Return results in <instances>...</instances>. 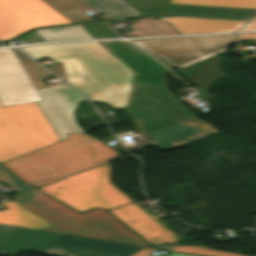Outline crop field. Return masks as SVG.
Returning <instances> with one entry per match:
<instances>
[{
	"label": "crop field",
	"mask_w": 256,
	"mask_h": 256,
	"mask_svg": "<svg viewBox=\"0 0 256 256\" xmlns=\"http://www.w3.org/2000/svg\"><path fill=\"white\" fill-rule=\"evenodd\" d=\"M99 43L136 73L126 113L142 135L197 119L166 89V67L126 41Z\"/></svg>",
	"instance_id": "crop-field-1"
},
{
	"label": "crop field",
	"mask_w": 256,
	"mask_h": 256,
	"mask_svg": "<svg viewBox=\"0 0 256 256\" xmlns=\"http://www.w3.org/2000/svg\"><path fill=\"white\" fill-rule=\"evenodd\" d=\"M35 60L76 61L92 78L69 82L90 100L126 107L135 73L98 42L20 47Z\"/></svg>",
	"instance_id": "crop-field-2"
},
{
	"label": "crop field",
	"mask_w": 256,
	"mask_h": 256,
	"mask_svg": "<svg viewBox=\"0 0 256 256\" xmlns=\"http://www.w3.org/2000/svg\"><path fill=\"white\" fill-rule=\"evenodd\" d=\"M119 155L88 134L68 139L1 163L25 182L70 175ZM17 176V177H18Z\"/></svg>",
	"instance_id": "crop-field-3"
},
{
	"label": "crop field",
	"mask_w": 256,
	"mask_h": 256,
	"mask_svg": "<svg viewBox=\"0 0 256 256\" xmlns=\"http://www.w3.org/2000/svg\"><path fill=\"white\" fill-rule=\"evenodd\" d=\"M14 198L15 203L55 224L43 231L147 245L104 210L78 214L36 190Z\"/></svg>",
	"instance_id": "crop-field-4"
},
{
	"label": "crop field",
	"mask_w": 256,
	"mask_h": 256,
	"mask_svg": "<svg viewBox=\"0 0 256 256\" xmlns=\"http://www.w3.org/2000/svg\"><path fill=\"white\" fill-rule=\"evenodd\" d=\"M58 142L36 102L0 104V163Z\"/></svg>",
	"instance_id": "crop-field-5"
},
{
	"label": "crop field",
	"mask_w": 256,
	"mask_h": 256,
	"mask_svg": "<svg viewBox=\"0 0 256 256\" xmlns=\"http://www.w3.org/2000/svg\"><path fill=\"white\" fill-rule=\"evenodd\" d=\"M108 163L39 188L79 212L95 207L112 209L131 202L110 184Z\"/></svg>",
	"instance_id": "crop-field-6"
},
{
	"label": "crop field",
	"mask_w": 256,
	"mask_h": 256,
	"mask_svg": "<svg viewBox=\"0 0 256 256\" xmlns=\"http://www.w3.org/2000/svg\"><path fill=\"white\" fill-rule=\"evenodd\" d=\"M13 51L38 90L43 100L38 104L59 141L66 139L67 133H83L75 121L73 112L77 103L85 98L66 84L53 88L46 86L42 79L51 74L16 48Z\"/></svg>",
	"instance_id": "crop-field-7"
},
{
	"label": "crop field",
	"mask_w": 256,
	"mask_h": 256,
	"mask_svg": "<svg viewBox=\"0 0 256 256\" xmlns=\"http://www.w3.org/2000/svg\"><path fill=\"white\" fill-rule=\"evenodd\" d=\"M171 69L182 68L225 51L234 34L130 40Z\"/></svg>",
	"instance_id": "crop-field-8"
},
{
	"label": "crop field",
	"mask_w": 256,
	"mask_h": 256,
	"mask_svg": "<svg viewBox=\"0 0 256 256\" xmlns=\"http://www.w3.org/2000/svg\"><path fill=\"white\" fill-rule=\"evenodd\" d=\"M69 23V20L41 0H0L1 41L33 28Z\"/></svg>",
	"instance_id": "crop-field-9"
},
{
	"label": "crop field",
	"mask_w": 256,
	"mask_h": 256,
	"mask_svg": "<svg viewBox=\"0 0 256 256\" xmlns=\"http://www.w3.org/2000/svg\"><path fill=\"white\" fill-rule=\"evenodd\" d=\"M141 248L143 247L62 234L37 253L53 256H130Z\"/></svg>",
	"instance_id": "crop-field-10"
},
{
	"label": "crop field",
	"mask_w": 256,
	"mask_h": 256,
	"mask_svg": "<svg viewBox=\"0 0 256 256\" xmlns=\"http://www.w3.org/2000/svg\"><path fill=\"white\" fill-rule=\"evenodd\" d=\"M41 100L12 49L0 50V102L2 106Z\"/></svg>",
	"instance_id": "crop-field-11"
},
{
	"label": "crop field",
	"mask_w": 256,
	"mask_h": 256,
	"mask_svg": "<svg viewBox=\"0 0 256 256\" xmlns=\"http://www.w3.org/2000/svg\"><path fill=\"white\" fill-rule=\"evenodd\" d=\"M150 245L176 244L180 237L133 202L109 210Z\"/></svg>",
	"instance_id": "crop-field-12"
},
{
	"label": "crop field",
	"mask_w": 256,
	"mask_h": 256,
	"mask_svg": "<svg viewBox=\"0 0 256 256\" xmlns=\"http://www.w3.org/2000/svg\"><path fill=\"white\" fill-rule=\"evenodd\" d=\"M58 235L0 224V250L14 256L25 251L35 252Z\"/></svg>",
	"instance_id": "crop-field-13"
},
{
	"label": "crop field",
	"mask_w": 256,
	"mask_h": 256,
	"mask_svg": "<svg viewBox=\"0 0 256 256\" xmlns=\"http://www.w3.org/2000/svg\"><path fill=\"white\" fill-rule=\"evenodd\" d=\"M217 132L219 131L211 125L202 120H196L150 134L152 139L147 140V142L161 149H170L191 143Z\"/></svg>",
	"instance_id": "crop-field-14"
},
{
	"label": "crop field",
	"mask_w": 256,
	"mask_h": 256,
	"mask_svg": "<svg viewBox=\"0 0 256 256\" xmlns=\"http://www.w3.org/2000/svg\"><path fill=\"white\" fill-rule=\"evenodd\" d=\"M189 16L249 21L256 17V9L168 4L165 12L154 18Z\"/></svg>",
	"instance_id": "crop-field-15"
},
{
	"label": "crop field",
	"mask_w": 256,
	"mask_h": 256,
	"mask_svg": "<svg viewBox=\"0 0 256 256\" xmlns=\"http://www.w3.org/2000/svg\"><path fill=\"white\" fill-rule=\"evenodd\" d=\"M159 20L169 21L181 34L237 31L244 23H246L242 21L189 17H174Z\"/></svg>",
	"instance_id": "crop-field-16"
},
{
	"label": "crop field",
	"mask_w": 256,
	"mask_h": 256,
	"mask_svg": "<svg viewBox=\"0 0 256 256\" xmlns=\"http://www.w3.org/2000/svg\"><path fill=\"white\" fill-rule=\"evenodd\" d=\"M9 209L0 212V223L41 230L53 225L38 215L7 200L1 202Z\"/></svg>",
	"instance_id": "crop-field-17"
},
{
	"label": "crop field",
	"mask_w": 256,
	"mask_h": 256,
	"mask_svg": "<svg viewBox=\"0 0 256 256\" xmlns=\"http://www.w3.org/2000/svg\"><path fill=\"white\" fill-rule=\"evenodd\" d=\"M89 6L113 21H123L142 16L123 0H83Z\"/></svg>",
	"instance_id": "crop-field-18"
},
{
	"label": "crop field",
	"mask_w": 256,
	"mask_h": 256,
	"mask_svg": "<svg viewBox=\"0 0 256 256\" xmlns=\"http://www.w3.org/2000/svg\"><path fill=\"white\" fill-rule=\"evenodd\" d=\"M134 26H130L134 32L125 33L123 36H151L178 34L168 23L156 21L150 17L131 20Z\"/></svg>",
	"instance_id": "crop-field-19"
},
{
	"label": "crop field",
	"mask_w": 256,
	"mask_h": 256,
	"mask_svg": "<svg viewBox=\"0 0 256 256\" xmlns=\"http://www.w3.org/2000/svg\"><path fill=\"white\" fill-rule=\"evenodd\" d=\"M74 23L91 21L85 13L92 10L81 0H44Z\"/></svg>",
	"instance_id": "crop-field-20"
},
{
	"label": "crop field",
	"mask_w": 256,
	"mask_h": 256,
	"mask_svg": "<svg viewBox=\"0 0 256 256\" xmlns=\"http://www.w3.org/2000/svg\"><path fill=\"white\" fill-rule=\"evenodd\" d=\"M36 32L45 41L93 39L81 25L39 29Z\"/></svg>",
	"instance_id": "crop-field-21"
},
{
	"label": "crop field",
	"mask_w": 256,
	"mask_h": 256,
	"mask_svg": "<svg viewBox=\"0 0 256 256\" xmlns=\"http://www.w3.org/2000/svg\"><path fill=\"white\" fill-rule=\"evenodd\" d=\"M64 65L50 68L65 81L89 78L90 76L74 61H64Z\"/></svg>",
	"instance_id": "crop-field-22"
},
{
	"label": "crop field",
	"mask_w": 256,
	"mask_h": 256,
	"mask_svg": "<svg viewBox=\"0 0 256 256\" xmlns=\"http://www.w3.org/2000/svg\"><path fill=\"white\" fill-rule=\"evenodd\" d=\"M169 3L256 8V0H170Z\"/></svg>",
	"instance_id": "crop-field-23"
},
{
	"label": "crop field",
	"mask_w": 256,
	"mask_h": 256,
	"mask_svg": "<svg viewBox=\"0 0 256 256\" xmlns=\"http://www.w3.org/2000/svg\"><path fill=\"white\" fill-rule=\"evenodd\" d=\"M145 16L163 12L167 0H124Z\"/></svg>",
	"instance_id": "crop-field-24"
},
{
	"label": "crop field",
	"mask_w": 256,
	"mask_h": 256,
	"mask_svg": "<svg viewBox=\"0 0 256 256\" xmlns=\"http://www.w3.org/2000/svg\"><path fill=\"white\" fill-rule=\"evenodd\" d=\"M0 181L12 188L17 193H25L34 190L29 185L18 180L13 174H11L4 167L0 166Z\"/></svg>",
	"instance_id": "crop-field-25"
},
{
	"label": "crop field",
	"mask_w": 256,
	"mask_h": 256,
	"mask_svg": "<svg viewBox=\"0 0 256 256\" xmlns=\"http://www.w3.org/2000/svg\"><path fill=\"white\" fill-rule=\"evenodd\" d=\"M82 26L94 39L120 37L117 33H115L111 28L107 26L106 22L83 24Z\"/></svg>",
	"instance_id": "crop-field-26"
},
{
	"label": "crop field",
	"mask_w": 256,
	"mask_h": 256,
	"mask_svg": "<svg viewBox=\"0 0 256 256\" xmlns=\"http://www.w3.org/2000/svg\"><path fill=\"white\" fill-rule=\"evenodd\" d=\"M171 251L184 252L189 254L208 255V256H245V255H237L232 253L207 250L205 246H176Z\"/></svg>",
	"instance_id": "crop-field-27"
},
{
	"label": "crop field",
	"mask_w": 256,
	"mask_h": 256,
	"mask_svg": "<svg viewBox=\"0 0 256 256\" xmlns=\"http://www.w3.org/2000/svg\"><path fill=\"white\" fill-rule=\"evenodd\" d=\"M239 40H253L256 42V33L249 34H238ZM246 58L256 57V53H253L254 56H247V53H244Z\"/></svg>",
	"instance_id": "crop-field-28"
},
{
	"label": "crop field",
	"mask_w": 256,
	"mask_h": 256,
	"mask_svg": "<svg viewBox=\"0 0 256 256\" xmlns=\"http://www.w3.org/2000/svg\"><path fill=\"white\" fill-rule=\"evenodd\" d=\"M60 179H63V178H60ZM60 179H54V180H48V181H42V182H36V183H29V184L39 188L41 186L47 185L49 183L55 182V181L60 180Z\"/></svg>",
	"instance_id": "crop-field-29"
},
{
	"label": "crop field",
	"mask_w": 256,
	"mask_h": 256,
	"mask_svg": "<svg viewBox=\"0 0 256 256\" xmlns=\"http://www.w3.org/2000/svg\"><path fill=\"white\" fill-rule=\"evenodd\" d=\"M256 30V19L240 31Z\"/></svg>",
	"instance_id": "crop-field-30"
},
{
	"label": "crop field",
	"mask_w": 256,
	"mask_h": 256,
	"mask_svg": "<svg viewBox=\"0 0 256 256\" xmlns=\"http://www.w3.org/2000/svg\"><path fill=\"white\" fill-rule=\"evenodd\" d=\"M132 256H151V255L140 250L137 253L133 254Z\"/></svg>",
	"instance_id": "crop-field-31"
},
{
	"label": "crop field",
	"mask_w": 256,
	"mask_h": 256,
	"mask_svg": "<svg viewBox=\"0 0 256 256\" xmlns=\"http://www.w3.org/2000/svg\"><path fill=\"white\" fill-rule=\"evenodd\" d=\"M142 250L150 253V252H153V251H157L159 249H155V248H151V247L147 246V247L143 248Z\"/></svg>",
	"instance_id": "crop-field-32"
},
{
	"label": "crop field",
	"mask_w": 256,
	"mask_h": 256,
	"mask_svg": "<svg viewBox=\"0 0 256 256\" xmlns=\"http://www.w3.org/2000/svg\"><path fill=\"white\" fill-rule=\"evenodd\" d=\"M167 256H192V255H183V254L169 252Z\"/></svg>",
	"instance_id": "crop-field-33"
},
{
	"label": "crop field",
	"mask_w": 256,
	"mask_h": 256,
	"mask_svg": "<svg viewBox=\"0 0 256 256\" xmlns=\"http://www.w3.org/2000/svg\"><path fill=\"white\" fill-rule=\"evenodd\" d=\"M152 247L168 250L172 246H152Z\"/></svg>",
	"instance_id": "crop-field-34"
}]
</instances>
